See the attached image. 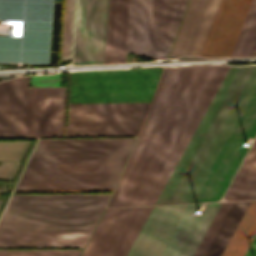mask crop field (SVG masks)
<instances>
[{"mask_svg": "<svg viewBox=\"0 0 256 256\" xmlns=\"http://www.w3.org/2000/svg\"><path fill=\"white\" fill-rule=\"evenodd\" d=\"M229 66L164 68L107 207L155 204Z\"/></svg>", "mask_w": 256, "mask_h": 256, "instance_id": "crop-field-1", "label": "crop field"}, {"mask_svg": "<svg viewBox=\"0 0 256 256\" xmlns=\"http://www.w3.org/2000/svg\"><path fill=\"white\" fill-rule=\"evenodd\" d=\"M135 139L136 137L40 139L16 189H113Z\"/></svg>", "mask_w": 256, "mask_h": 256, "instance_id": "crop-field-2", "label": "crop field"}, {"mask_svg": "<svg viewBox=\"0 0 256 256\" xmlns=\"http://www.w3.org/2000/svg\"><path fill=\"white\" fill-rule=\"evenodd\" d=\"M160 70L70 73L69 104L150 103ZM148 106L69 105L66 136L137 135Z\"/></svg>", "mask_w": 256, "mask_h": 256, "instance_id": "crop-field-3", "label": "crop field"}, {"mask_svg": "<svg viewBox=\"0 0 256 256\" xmlns=\"http://www.w3.org/2000/svg\"><path fill=\"white\" fill-rule=\"evenodd\" d=\"M109 196L13 194L0 220V248H83Z\"/></svg>", "mask_w": 256, "mask_h": 256, "instance_id": "crop-field-4", "label": "crop field"}, {"mask_svg": "<svg viewBox=\"0 0 256 256\" xmlns=\"http://www.w3.org/2000/svg\"><path fill=\"white\" fill-rule=\"evenodd\" d=\"M256 86V65L230 66L156 204L192 202Z\"/></svg>", "mask_w": 256, "mask_h": 256, "instance_id": "crop-field-5", "label": "crop field"}, {"mask_svg": "<svg viewBox=\"0 0 256 256\" xmlns=\"http://www.w3.org/2000/svg\"><path fill=\"white\" fill-rule=\"evenodd\" d=\"M250 201L208 203L201 218L199 204L154 206L127 256H220Z\"/></svg>", "mask_w": 256, "mask_h": 256, "instance_id": "crop-field-6", "label": "crop field"}, {"mask_svg": "<svg viewBox=\"0 0 256 256\" xmlns=\"http://www.w3.org/2000/svg\"><path fill=\"white\" fill-rule=\"evenodd\" d=\"M256 134V88L232 129L228 139L196 194L193 202L219 200L247 149L243 147L248 135ZM246 157V156H245ZM256 186V140L224 198L249 199Z\"/></svg>", "mask_w": 256, "mask_h": 256, "instance_id": "crop-field-7", "label": "crop field"}, {"mask_svg": "<svg viewBox=\"0 0 256 256\" xmlns=\"http://www.w3.org/2000/svg\"><path fill=\"white\" fill-rule=\"evenodd\" d=\"M222 0H209L187 55H200ZM252 0H223L203 52L230 56Z\"/></svg>", "mask_w": 256, "mask_h": 256, "instance_id": "crop-field-8", "label": "crop field"}, {"mask_svg": "<svg viewBox=\"0 0 256 256\" xmlns=\"http://www.w3.org/2000/svg\"><path fill=\"white\" fill-rule=\"evenodd\" d=\"M152 208L105 209L82 256H126Z\"/></svg>", "mask_w": 256, "mask_h": 256, "instance_id": "crop-field-9", "label": "crop field"}, {"mask_svg": "<svg viewBox=\"0 0 256 256\" xmlns=\"http://www.w3.org/2000/svg\"><path fill=\"white\" fill-rule=\"evenodd\" d=\"M107 0H78L75 66L102 64Z\"/></svg>", "mask_w": 256, "mask_h": 256, "instance_id": "crop-field-10", "label": "crop field"}, {"mask_svg": "<svg viewBox=\"0 0 256 256\" xmlns=\"http://www.w3.org/2000/svg\"><path fill=\"white\" fill-rule=\"evenodd\" d=\"M27 80L0 82V137H30L34 88Z\"/></svg>", "mask_w": 256, "mask_h": 256, "instance_id": "crop-field-11", "label": "crop field"}, {"mask_svg": "<svg viewBox=\"0 0 256 256\" xmlns=\"http://www.w3.org/2000/svg\"><path fill=\"white\" fill-rule=\"evenodd\" d=\"M188 0H154L149 57L166 58Z\"/></svg>", "mask_w": 256, "mask_h": 256, "instance_id": "crop-field-12", "label": "crop field"}, {"mask_svg": "<svg viewBox=\"0 0 256 256\" xmlns=\"http://www.w3.org/2000/svg\"><path fill=\"white\" fill-rule=\"evenodd\" d=\"M65 88H36L31 137L61 136Z\"/></svg>", "mask_w": 256, "mask_h": 256, "instance_id": "crop-field-13", "label": "crop field"}, {"mask_svg": "<svg viewBox=\"0 0 256 256\" xmlns=\"http://www.w3.org/2000/svg\"><path fill=\"white\" fill-rule=\"evenodd\" d=\"M129 0H109L104 65L125 64Z\"/></svg>", "mask_w": 256, "mask_h": 256, "instance_id": "crop-field-14", "label": "crop field"}, {"mask_svg": "<svg viewBox=\"0 0 256 256\" xmlns=\"http://www.w3.org/2000/svg\"><path fill=\"white\" fill-rule=\"evenodd\" d=\"M208 0H190L182 25L168 57L186 55Z\"/></svg>", "mask_w": 256, "mask_h": 256, "instance_id": "crop-field-15", "label": "crop field"}, {"mask_svg": "<svg viewBox=\"0 0 256 256\" xmlns=\"http://www.w3.org/2000/svg\"><path fill=\"white\" fill-rule=\"evenodd\" d=\"M256 234V201H251L222 256H244Z\"/></svg>", "mask_w": 256, "mask_h": 256, "instance_id": "crop-field-16", "label": "crop field"}, {"mask_svg": "<svg viewBox=\"0 0 256 256\" xmlns=\"http://www.w3.org/2000/svg\"><path fill=\"white\" fill-rule=\"evenodd\" d=\"M255 32L256 0H253L231 56L246 55Z\"/></svg>", "mask_w": 256, "mask_h": 256, "instance_id": "crop-field-17", "label": "crop field"}, {"mask_svg": "<svg viewBox=\"0 0 256 256\" xmlns=\"http://www.w3.org/2000/svg\"><path fill=\"white\" fill-rule=\"evenodd\" d=\"M75 0H66L61 61L71 60Z\"/></svg>", "mask_w": 256, "mask_h": 256, "instance_id": "crop-field-18", "label": "crop field"}, {"mask_svg": "<svg viewBox=\"0 0 256 256\" xmlns=\"http://www.w3.org/2000/svg\"><path fill=\"white\" fill-rule=\"evenodd\" d=\"M41 250H0V256H38ZM82 250H42L39 256H79Z\"/></svg>", "mask_w": 256, "mask_h": 256, "instance_id": "crop-field-19", "label": "crop field"}, {"mask_svg": "<svg viewBox=\"0 0 256 256\" xmlns=\"http://www.w3.org/2000/svg\"><path fill=\"white\" fill-rule=\"evenodd\" d=\"M245 256H256V237L253 240L250 248L248 249L247 253Z\"/></svg>", "mask_w": 256, "mask_h": 256, "instance_id": "crop-field-20", "label": "crop field"}, {"mask_svg": "<svg viewBox=\"0 0 256 256\" xmlns=\"http://www.w3.org/2000/svg\"><path fill=\"white\" fill-rule=\"evenodd\" d=\"M256 54V34L247 55Z\"/></svg>", "mask_w": 256, "mask_h": 256, "instance_id": "crop-field-21", "label": "crop field"}, {"mask_svg": "<svg viewBox=\"0 0 256 256\" xmlns=\"http://www.w3.org/2000/svg\"><path fill=\"white\" fill-rule=\"evenodd\" d=\"M250 199H256V188H255V190L253 191V193H252Z\"/></svg>", "mask_w": 256, "mask_h": 256, "instance_id": "crop-field-22", "label": "crop field"}]
</instances>
